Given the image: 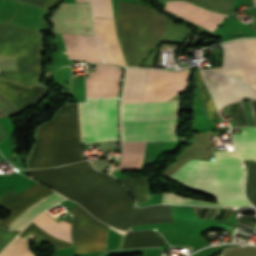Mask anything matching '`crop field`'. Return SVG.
Returning a JSON list of instances; mask_svg holds the SVG:
<instances>
[{
    "label": "crop field",
    "instance_id": "d9b57169",
    "mask_svg": "<svg viewBox=\"0 0 256 256\" xmlns=\"http://www.w3.org/2000/svg\"><path fill=\"white\" fill-rule=\"evenodd\" d=\"M63 35V34H62ZM85 60L87 62H101L100 52L94 36L77 35ZM76 35H63L69 59L84 60Z\"/></svg>",
    "mask_w": 256,
    "mask_h": 256
},
{
    "label": "crop field",
    "instance_id": "8a807250",
    "mask_svg": "<svg viewBox=\"0 0 256 256\" xmlns=\"http://www.w3.org/2000/svg\"><path fill=\"white\" fill-rule=\"evenodd\" d=\"M27 172L56 192L76 201L99 220L132 208L131 197L118 182L95 171L89 162ZM102 221L121 230L130 226L173 222L170 206L131 209Z\"/></svg>",
    "mask_w": 256,
    "mask_h": 256
},
{
    "label": "crop field",
    "instance_id": "3316defc",
    "mask_svg": "<svg viewBox=\"0 0 256 256\" xmlns=\"http://www.w3.org/2000/svg\"><path fill=\"white\" fill-rule=\"evenodd\" d=\"M177 118L121 121L123 141H177Z\"/></svg>",
    "mask_w": 256,
    "mask_h": 256
},
{
    "label": "crop field",
    "instance_id": "214f88e0",
    "mask_svg": "<svg viewBox=\"0 0 256 256\" xmlns=\"http://www.w3.org/2000/svg\"><path fill=\"white\" fill-rule=\"evenodd\" d=\"M119 180L136 197L139 204L150 199L148 196L146 180L144 178H120Z\"/></svg>",
    "mask_w": 256,
    "mask_h": 256
},
{
    "label": "crop field",
    "instance_id": "e52e79f7",
    "mask_svg": "<svg viewBox=\"0 0 256 256\" xmlns=\"http://www.w3.org/2000/svg\"><path fill=\"white\" fill-rule=\"evenodd\" d=\"M53 193L54 192L38 183L32 185L31 187L27 188L26 190L22 191L17 195L14 194L12 191L7 192L0 197V206L14 213L7 217L5 220H3L0 225L6 228L28 208L32 207L33 205L37 204L38 202ZM63 199L64 197L56 193L51 195L42 202L28 209L7 228L20 231L39 213L48 209L49 207L53 206L54 204L58 203Z\"/></svg>",
    "mask_w": 256,
    "mask_h": 256
},
{
    "label": "crop field",
    "instance_id": "d3111659",
    "mask_svg": "<svg viewBox=\"0 0 256 256\" xmlns=\"http://www.w3.org/2000/svg\"><path fill=\"white\" fill-rule=\"evenodd\" d=\"M59 0H47L45 5H44V8H48L50 9V7L53 5L54 2H57Z\"/></svg>",
    "mask_w": 256,
    "mask_h": 256
},
{
    "label": "crop field",
    "instance_id": "34b2d1b8",
    "mask_svg": "<svg viewBox=\"0 0 256 256\" xmlns=\"http://www.w3.org/2000/svg\"><path fill=\"white\" fill-rule=\"evenodd\" d=\"M40 34L0 24V56H40ZM17 73L0 72V78L31 87L39 75L40 57H14ZM44 89H31L0 80V95L18 112L40 98Z\"/></svg>",
    "mask_w": 256,
    "mask_h": 256
},
{
    "label": "crop field",
    "instance_id": "d8731c3e",
    "mask_svg": "<svg viewBox=\"0 0 256 256\" xmlns=\"http://www.w3.org/2000/svg\"><path fill=\"white\" fill-rule=\"evenodd\" d=\"M68 212L73 215L71 232L75 253L106 251L108 226L95 220L77 204Z\"/></svg>",
    "mask_w": 256,
    "mask_h": 256
},
{
    "label": "crop field",
    "instance_id": "4177f3b9",
    "mask_svg": "<svg viewBox=\"0 0 256 256\" xmlns=\"http://www.w3.org/2000/svg\"><path fill=\"white\" fill-rule=\"evenodd\" d=\"M125 234L126 232L114 230L109 227L107 251L122 248Z\"/></svg>",
    "mask_w": 256,
    "mask_h": 256
},
{
    "label": "crop field",
    "instance_id": "5a996713",
    "mask_svg": "<svg viewBox=\"0 0 256 256\" xmlns=\"http://www.w3.org/2000/svg\"><path fill=\"white\" fill-rule=\"evenodd\" d=\"M48 19L53 33L94 35L89 4L61 3Z\"/></svg>",
    "mask_w": 256,
    "mask_h": 256
},
{
    "label": "crop field",
    "instance_id": "22f410ed",
    "mask_svg": "<svg viewBox=\"0 0 256 256\" xmlns=\"http://www.w3.org/2000/svg\"><path fill=\"white\" fill-rule=\"evenodd\" d=\"M28 226H30L43 236L47 237L62 248L72 247L70 238V225L65 223L63 220L58 223L44 212L43 214L35 218ZM28 226L18 237H26L29 234H36L43 237ZM45 237L43 238L49 241L55 247V249L60 248Z\"/></svg>",
    "mask_w": 256,
    "mask_h": 256
},
{
    "label": "crop field",
    "instance_id": "ae1a2a85",
    "mask_svg": "<svg viewBox=\"0 0 256 256\" xmlns=\"http://www.w3.org/2000/svg\"><path fill=\"white\" fill-rule=\"evenodd\" d=\"M6 137H8V134L5 131V129L2 127V125L0 124V141L5 139Z\"/></svg>",
    "mask_w": 256,
    "mask_h": 256
},
{
    "label": "crop field",
    "instance_id": "f4fd0767",
    "mask_svg": "<svg viewBox=\"0 0 256 256\" xmlns=\"http://www.w3.org/2000/svg\"><path fill=\"white\" fill-rule=\"evenodd\" d=\"M215 162L192 161L171 178L196 189L216 195L226 206L251 205L243 195L245 174L236 152H214Z\"/></svg>",
    "mask_w": 256,
    "mask_h": 256
},
{
    "label": "crop field",
    "instance_id": "28ad6ade",
    "mask_svg": "<svg viewBox=\"0 0 256 256\" xmlns=\"http://www.w3.org/2000/svg\"><path fill=\"white\" fill-rule=\"evenodd\" d=\"M188 69L181 72L149 70L143 102L167 100L185 86Z\"/></svg>",
    "mask_w": 256,
    "mask_h": 256
},
{
    "label": "crop field",
    "instance_id": "bd1437ed",
    "mask_svg": "<svg viewBox=\"0 0 256 256\" xmlns=\"http://www.w3.org/2000/svg\"><path fill=\"white\" fill-rule=\"evenodd\" d=\"M253 2L256 4V0H253Z\"/></svg>",
    "mask_w": 256,
    "mask_h": 256
},
{
    "label": "crop field",
    "instance_id": "4a817a6b",
    "mask_svg": "<svg viewBox=\"0 0 256 256\" xmlns=\"http://www.w3.org/2000/svg\"><path fill=\"white\" fill-rule=\"evenodd\" d=\"M145 142H123V154L117 169H138L144 155Z\"/></svg>",
    "mask_w": 256,
    "mask_h": 256
},
{
    "label": "crop field",
    "instance_id": "eef30255",
    "mask_svg": "<svg viewBox=\"0 0 256 256\" xmlns=\"http://www.w3.org/2000/svg\"><path fill=\"white\" fill-rule=\"evenodd\" d=\"M19 1H23V2H26V3H30V4H33V5H37V6H43L45 0H19Z\"/></svg>",
    "mask_w": 256,
    "mask_h": 256
},
{
    "label": "crop field",
    "instance_id": "ac0d7876",
    "mask_svg": "<svg viewBox=\"0 0 256 256\" xmlns=\"http://www.w3.org/2000/svg\"><path fill=\"white\" fill-rule=\"evenodd\" d=\"M117 97L86 98L78 103L81 143L117 139ZM77 104L62 109L39 128L29 162L30 169L64 165L82 160Z\"/></svg>",
    "mask_w": 256,
    "mask_h": 256
},
{
    "label": "crop field",
    "instance_id": "00972430",
    "mask_svg": "<svg viewBox=\"0 0 256 256\" xmlns=\"http://www.w3.org/2000/svg\"><path fill=\"white\" fill-rule=\"evenodd\" d=\"M162 203L166 204H190V205H210V206H223L218 203L207 202V201H198V200H189L181 198L172 193H163Z\"/></svg>",
    "mask_w": 256,
    "mask_h": 256
},
{
    "label": "crop field",
    "instance_id": "bc2a9ffb",
    "mask_svg": "<svg viewBox=\"0 0 256 256\" xmlns=\"http://www.w3.org/2000/svg\"><path fill=\"white\" fill-rule=\"evenodd\" d=\"M33 183L35 182L16 172L9 175L0 174V196L9 189L17 194Z\"/></svg>",
    "mask_w": 256,
    "mask_h": 256
},
{
    "label": "crop field",
    "instance_id": "92a150f3",
    "mask_svg": "<svg viewBox=\"0 0 256 256\" xmlns=\"http://www.w3.org/2000/svg\"><path fill=\"white\" fill-rule=\"evenodd\" d=\"M196 73H197L198 85H199V89H200L199 94H200V98H201L202 104L204 106V109L209 118L218 117L219 115H218L216 107L209 95V92L204 84L203 77H202L200 71H196Z\"/></svg>",
    "mask_w": 256,
    "mask_h": 256
},
{
    "label": "crop field",
    "instance_id": "d1516ede",
    "mask_svg": "<svg viewBox=\"0 0 256 256\" xmlns=\"http://www.w3.org/2000/svg\"><path fill=\"white\" fill-rule=\"evenodd\" d=\"M121 69L106 63L96 64L86 78V97L117 96Z\"/></svg>",
    "mask_w": 256,
    "mask_h": 256
},
{
    "label": "crop field",
    "instance_id": "a9b5d70f",
    "mask_svg": "<svg viewBox=\"0 0 256 256\" xmlns=\"http://www.w3.org/2000/svg\"><path fill=\"white\" fill-rule=\"evenodd\" d=\"M93 16L113 18L111 0H91Z\"/></svg>",
    "mask_w": 256,
    "mask_h": 256
},
{
    "label": "crop field",
    "instance_id": "750c4746",
    "mask_svg": "<svg viewBox=\"0 0 256 256\" xmlns=\"http://www.w3.org/2000/svg\"><path fill=\"white\" fill-rule=\"evenodd\" d=\"M76 2H89V0H76Z\"/></svg>",
    "mask_w": 256,
    "mask_h": 256
},
{
    "label": "crop field",
    "instance_id": "733c2abd",
    "mask_svg": "<svg viewBox=\"0 0 256 256\" xmlns=\"http://www.w3.org/2000/svg\"><path fill=\"white\" fill-rule=\"evenodd\" d=\"M241 134H232L234 141H256V128H241ZM242 160L256 162V142H234Z\"/></svg>",
    "mask_w": 256,
    "mask_h": 256
},
{
    "label": "crop field",
    "instance_id": "5142ce71",
    "mask_svg": "<svg viewBox=\"0 0 256 256\" xmlns=\"http://www.w3.org/2000/svg\"><path fill=\"white\" fill-rule=\"evenodd\" d=\"M165 9L211 31H213L226 17L225 15L202 9L185 1H170L167 3Z\"/></svg>",
    "mask_w": 256,
    "mask_h": 256
},
{
    "label": "crop field",
    "instance_id": "dafd665d",
    "mask_svg": "<svg viewBox=\"0 0 256 256\" xmlns=\"http://www.w3.org/2000/svg\"><path fill=\"white\" fill-rule=\"evenodd\" d=\"M0 256H33V254L28 250L26 239L16 238L0 253Z\"/></svg>",
    "mask_w": 256,
    "mask_h": 256
},
{
    "label": "crop field",
    "instance_id": "412701ff",
    "mask_svg": "<svg viewBox=\"0 0 256 256\" xmlns=\"http://www.w3.org/2000/svg\"><path fill=\"white\" fill-rule=\"evenodd\" d=\"M221 45L223 67L202 69L219 110L231 102L256 99V39Z\"/></svg>",
    "mask_w": 256,
    "mask_h": 256
},
{
    "label": "crop field",
    "instance_id": "dd49c442",
    "mask_svg": "<svg viewBox=\"0 0 256 256\" xmlns=\"http://www.w3.org/2000/svg\"><path fill=\"white\" fill-rule=\"evenodd\" d=\"M147 72L146 69L127 68L121 120L179 117V101L142 103Z\"/></svg>",
    "mask_w": 256,
    "mask_h": 256
},
{
    "label": "crop field",
    "instance_id": "730fd06b",
    "mask_svg": "<svg viewBox=\"0 0 256 256\" xmlns=\"http://www.w3.org/2000/svg\"><path fill=\"white\" fill-rule=\"evenodd\" d=\"M15 235L0 230V250L7 245Z\"/></svg>",
    "mask_w": 256,
    "mask_h": 256
},
{
    "label": "crop field",
    "instance_id": "cbeb9de0",
    "mask_svg": "<svg viewBox=\"0 0 256 256\" xmlns=\"http://www.w3.org/2000/svg\"><path fill=\"white\" fill-rule=\"evenodd\" d=\"M93 23L105 61L126 66L116 37L113 20L93 18Z\"/></svg>",
    "mask_w": 256,
    "mask_h": 256
}]
</instances>
